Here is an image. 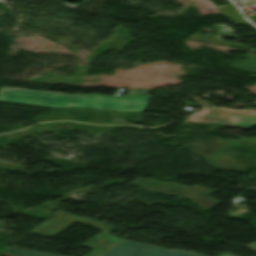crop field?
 <instances>
[{
  "label": "crop field",
  "mask_w": 256,
  "mask_h": 256,
  "mask_svg": "<svg viewBox=\"0 0 256 256\" xmlns=\"http://www.w3.org/2000/svg\"><path fill=\"white\" fill-rule=\"evenodd\" d=\"M131 185L142 187L145 190L190 200L199 207L208 211L212 210L213 208L222 203L208 196L209 194L216 192L217 190L198 186L189 188L155 180L153 178H138Z\"/></svg>",
  "instance_id": "crop-field-2"
},
{
  "label": "crop field",
  "mask_w": 256,
  "mask_h": 256,
  "mask_svg": "<svg viewBox=\"0 0 256 256\" xmlns=\"http://www.w3.org/2000/svg\"><path fill=\"white\" fill-rule=\"evenodd\" d=\"M221 256H233V255H231V254H229V253H226V254L221 255Z\"/></svg>",
  "instance_id": "crop-field-12"
},
{
  "label": "crop field",
  "mask_w": 256,
  "mask_h": 256,
  "mask_svg": "<svg viewBox=\"0 0 256 256\" xmlns=\"http://www.w3.org/2000/svg\"><path fill=\"white\" fill-rule=\"evenodd\" d=\"M219 12L229 17L237 24L243 25L248 23L242 18L241 14L238 12L233 4L219 8Z\"/></svg>",
  "instance_id": "crop-field-7"
},
{
  "label": "crop field",
  "mask_w": 256,
  "mask_h": 256,
  "mask_svg": "<svg viewBox=\"0 0 256 256\" xmlns=\"http://www.w3.org/2000/svg\"><path fill=\"white\" fill-rule=\"evenodd\" d=\"M150 98L151 97L141 95H126L122 97L99 94L68 95L6 87H1L0 89V103L54 109H64L75 106L108 111L144 112L149 105Z\"/></svg>",
  "instance_id": "crop-field-1"
},
{
  "label": "crop field",
  "mask_w": 256,
  "mask_h": 256,
  "mask_svg": "<svg viewBox=\"0 0 256 256\" xmlns=\"http://www.w3.org/2000/svg\"><path fill=\"white\" fill-rule=\"evenodd\" d=\"M53 214L55 215L31 230L30 233L53 238L77 222L107 233H111L117 229L86 217L80 218L59 210Z\"/></svg>",
  "instance_id": "crop-field-4"
},
{
  "label": "crop field",
  "mask_w": 256,
  "mask_h": 256,
  "mask_svg": "<svg viewBox=\"0 0 256 256\" xmlns=\"http://www.w3.org/2000/svg\"><path fill=\"white\" fill-rule=\"evenodd\" d=\"M189 121L218 123L249 129L256 126V108L236 110L209 107L200 110Z\"/></svg>",
  "instance_id": "crop-field-3"
},
{
  "label": "crop field",
  "mask_w": 256,
  "mask_h": 256,
  "mask_svg": "<svg viewBox=\"0 0 256 256\" xmlns=\"http://www.w3.org/2000/svg\"><path fill=\"white\" fill-rule=\"evenodd\" d=\"M234 1H242L244 4L256 2V0H234Z\"/></svg>",
  "instance_id": "crop-field-10"
},
{
  "label": "crop field",
  "mask_w": 256,
  "mask_h": 256,
  "mask_svg": "<svg viewBox=\"0 0 256 256\" xmlns=\"http://www.w3.org/2000/svg\"><path fill=\"white\" fill-rule=\"evenodd\" d=\"M236 137H238L240 139H243V140H246V141H250V142L256 143V139H252V138L248 139V138H244V137H240V136H236Z\"/></svg>",
  "instance_id": "crop-field-9"
},
{
  "label": "crop field",
  "mask_w": 256,
  "mask_h": 256,
  "mask_svg": "<svg viewBox=\"0 0 256 256\" xmlns=\"http://www.w3.org/2000/svg\"><path fill=\"white\" fill-rule=\"evenodd\" d=\"M101 256H203L125 240Z\"/></svg>",
  "instance_id": "crop-field-5"
},
{
  "label": "crop field",
  "mask_w": 256,
  "mask_h": 256,
  "mask_svg": "<svg viewBox=\"0 0 256 256\" xmlns=\"http://www.w3.org/2000/svg\"><path fill=\"white\" fill-rule=\"evenodd\" d=\"M247 247H249L251 250H253L254 252H256V242L253 243V244H251V245H249V246H247Z\"/></svg>",
  "instance_id": "crop-field-11"
},
{
  "label": "crop field",
  "mask_w": 256,
  "mask_h": 256,
  "mask_svg": "<svg viewBox=\"0 0 256 256\" xmlns=\"http://www.w3.org/2000/svg\"><path fill=\"white\" fill-rule=\"evenodd\" d=\"M1 256H56L8 247Z\"/></svg>",
  "instance_id": "crop-field-8"
},
{
  "label": "crop field",
  "mask_w": 256,
  "mask_h": 256,
  "mask_svg": "<svg viewBox=\"0 0 256 256\" xmlns=\"http://www.w3.org/2000/svg\"><path fill=\"white\" fill-rule=\"evenodd\" d=\"M95 240L97 241L94 242ZM122 240L124 239L116 237L112 234H106L102 232L101 234L86 242L82 246L92 248L91 250H93L86 256H98L99 254L116 245Z\"/></svg>",
  "instance_id": "crop-field-6"
}]
</instances>
